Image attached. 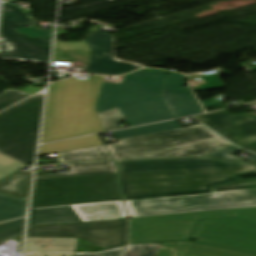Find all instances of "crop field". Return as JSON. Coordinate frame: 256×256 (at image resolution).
Returning a JSON list of instances; mask_svg holds the SVG:
<instances>
[{
  "mask_svg": "<svg viewBox=\"0 0 256 256\" xmlns=\"http://www.w3.org/2000/svg\"><path fill=\"white\" fill-rule=\"evenodd\" d=\"M116 162L123 200L207 192L256 173V163L208 157Z\"/></svg>",
  "mask_w": 256,
  "mask_h": 256,
  "instance_id": "crop-field-1",
  "label": "crop field"
},
{
  "mask_svg": "<svg viewBox=\"0 0 256 256\" xmlns=\"http://www.w3.org/2000/svg\"><path fill=\"white\" fill-rule=\"evenodd\" d=\"M183 74L143 69L121 84L104 82L98 113L118 107L129 127L204 113L190 88L182 90Z\"/></svg>",
  "mask_w": 256,
  "mask_h": 256,
  "instance_id": "crop-field-2",
  "label": "crop field"
},
{
  "mask_svg": "<svg viewBox=\"0 0 256 256\" xmlns=\"http://www.w3.org/2000/svg\"><path fill=\"white\" fill-rule=\"evenodd\" d=\"M207 221L196 222L198 219ZM256 255V223L232 218L228 210L130 219L129 244L185 241Z\"/></svg>",
  "mask_w": 256,
  "mask_h": 256,
  "instance_id": "crop-field-3",
  "label": "crop field"
},
{
  "mask_svg": "<svg viewBox=\"0 0 256 256\" xmlns=\"http://www.w3.org/2000/svg\"><path fill=\"white\" fill-rule=\"evenodd\" d=\"M103 79L92 75L50 84L41 143L105 131L96 109Z\"/></svg>",
  "mask_w": 256,
  "mask_h": 256,
  "instance_id": "crop-field-4",
  "label": "crop field"
},
{
  "mask_svg": "<svg viewBox=\"0 0 256 256\" xmlns=\"http://www.w3.org/2000/svg\"><path fill=\"white\" fill-rule=\"evenodd\" d=\"M219 194V196H215ZM131 218L256 207V189L124 202ZM82 222L128 217L121 201L71 206Z\"/></svg>",
  "mask_w": 256,
  "mask_h": 256,
  "instance_id": "crop-field-5",
  "label": "crop field"
},
{
  "mask_svg": "<svg viewBox=\"0 0 256 256\" xmlns=\"http://www.w3.org/2000/svg\"><path fill=\"white\" fill-rule=\"evenodd\" d=\"M230 146L201 125L106 145L114 160L204 156Z\"/></svg>",
  "mask_w": 256,
  "mask_h": 256,
  "instance_id": "crop-field-6",
  "label": "crop field"
},
{
  "mask_svg": "<svg viewBox=\"0 0 256 256\" xmlns=\"http://www.w3.org/2000/svg\"><path fill=\"white\" fill-rule=\"evenodd\" d=\"M122 200L117 175L35 180L31 208Z\"/></svg>",
  "mask_w": 256,
  "mask_h": 256,
  "instance_id": "crop-field-7",
  "label": "crop field"
},
{
  "mask_svg": "<svg viewBox=\"0 0 256 256\" xmlns=\"http://www.w3.org/2000/svg\"><path fill=\"white\" fill-rule=\"evenodd\" d=\"M43 99L36 95L0 114L1 153L25 165L34 162Z\"/></svg>",
  "mask_w": 256,
  "mask_h": 256,
  "instance_id": "crop-field-8",
  "label": "crop field"
},
{
  "mask_svg": "<svg viewBox=\"0 0 256 256\" xmlns=\"http://www.w3.org/2000/svg\"><path fill=\"white\" fill-rule=\"evenodd\" d=\"M53 61L72 63L73 66L89 68L90 72L108 75L138 69L113 60V36L97 32V25L92 26L86 40L66 43V50L55 51Z\"/></svg>",
  "mask_w": 256,
  "mask_h": 256,
  "instance_id": "crop-field-9",
  "label": "crop field"
},
{
  "mask_svg": "<svg viewBox=\"0 0 256 256\" xmlns=\"http://www.w3.org/2000/svg\"><path fill=\"white\" fill-rule=\"evenodd\" d=\"M128 219L28 226L27 237L80 238L108 249L126 245Z\"/></svg>",
  "mask_w": 256,
  "mask_h": 256,
  "instance_id": "crop-field-10",
  "label": "crop field"
},
{
  "mask_svg": "<svg viewBox=\"0 0 256 256\" xmlns=\"http://www.w3.org/2000/svg\"><path fill=\"white\" fill-rule=\"evenodd\" d=\"M211 130L236 146L242 147L256 142V119L222 111L195 117Z\"/></svg>",
  "mask_w": 256,
  "mask_h": 256,
  "instance_id": "crop-field-11",
  "label": "crop field"
},
{
  "mask_svg": "<svg viewBox=\"0 0 256 256\" xmlns=\"http://www.w3.org/2000/svg\"><path fill=\"white\" fill-rule=\"evenodd\" d=\"M1 38L9 41V46L14 49L6 52L3 57L34 61L49 62L50 43L52 38H29L25 34L18 33L8 23H2Z\"/></svg>",
  "mask_w": 256,
  "mask_h": 256,
  "instance_id": "crop-field-12",
  "label": "crop field"
},
{
  "mask_svg": "<svg viewBox=\"0 0 256 256\" xmlns=\"http://www.w3.org/2000/svg\"><path fill=\"white\" fill-rule=\"evenodd\" d=\"M184 242L163 243L157 256H177ZM180 256H254L222 248L186 242Z\"/></svg>",
  "mask_w": 256,
  "mask_h": 256,
  "instance_id": "crop-field-13",
  "label": "crop field"
},
{
  "mask_svg": "<svg viewBox=\"0 0 256 256\" xmlns=\"http://www.w3.org/2000/svg\"><path fill=\"white\" fill-rule=\"evenodd\" d=\"M81 222L70 206L40 209L30 212L28 225Z\"/></svg>",
  "mask_w": 256,
  "mask_h": 256,
  "instance_id": "crop-field-14",
  "label": "crop field"
},
{
  "mask_svg": "<svg viewBox=\"0 0 256 256\" xmlns=\"http://www.w3.org/2000/svg\"><path fill=\"white\" fill-rule=\"evenodd\" d=\"M69 166H70L71 173L36 175L35 179L117 174V168L114 162L80 163V164H69Z\"/></svg>",
  "mask_w": 256,
  "mask_h": 256,
  "instance_id": "crop-field-15",
  "label": "crop field"
},
{
  "mask_svg": "<svg viewBox=\"0 0 256 256\" xmlns=\"http://www.w3.org/2000/svg\"><path fill=\"white\" fill-rule=\"evenodd\" d=\"M31 177V172L19 171L13 174L0 182V193L27 200Z\"/></svg>",
  "mask_w": 256,
  "mask_h": 256,
  "instance_id": "crop-field-16",
  "label": "crop field"
},
{
  "mask_svg": "<svg viewBox=\"0 0 256 256\" xmlns=\"http://www.w3.org/2000/svg\"><path fill=\"white\" fill-rule=\"evenodd\" d=\"M99 145H103V142L100 139L99 135L79 138L74 140H68L63 142L51 143V144L40 146L39 156L71 151L76 149H82L87 147L99 146Z\"/></svg>",
  "mask_w": 256,
  "mask_h": 256,
  "instance_id": "crop-field-17",
  "label": "crop field"
},
{
  "mask_svg": "<svg viewBox=\"0 0 256 256\" xmlns=\"http://www.w3.org/2000/svg\"><path fill=\"white\" fill-rule=\"evenodd\" d=\"M58 163L113 160L105 145L71 152L59 153Z\"/></svg>",
  "mask_w": 256,
  "mask_h": 256,
  "instance_id": "crop-field-18",
  "label": "crop field"
},
{
  "mask_svg": "<svg viewBox=\"0 0 256 256\" xmlns=\"http://www.w3.org/2000/svg\"><path fill=\"white\" fill-rule=\"evenodd\" d=\"M27 201L0 194V222L25 216Z\"/></svg>",
  "mask_w": 256,
  "mask_h": 256,
  "instance_id": "crop-field-19",
  "label": "crop field"
},
{
  "mask_svg": "<svg viewBox=\"0 0 256 256\" xmlns=\"http://www.w3.org/2000/svg\"><path fill=\"white\" fill-rule=\"evenodd\" d=\"M176 120L113 132L117 139L180 128Z\"/></svg>",
  "mask_w": 256,
  "mask_h": 256,
  "instance_id": "crop-field-20",
  "label": "crop field"
},
{
  "mask_svg": "<svg viewBox=\"0 0 256 256\" xmlns=\"http://www.w3.org/2000/svg\"><path fill=\"white\" fill-rule=\"evenodd\" d=\"M29 15L16 4H5L3 20L8 22L13 28H21L36 25L34 19L29 20Z\"/></svg>",
  "mask_w": 256,
  "mask_h": 256,
  "instance_id": "crop-field-21",
  "label": "crop field"
},
{
  "mask_svg": "<svg viewBox=\"0 0 256 256\" xmlns=\"http://www.w3.org/2000/svg\"><path fill=\"white\" fill-rule=\"evenodd\" d=\"M162 243L135 245L124 249H118L116 251L95 254V255H78L75 256H156ZM147 250L144 255H140L141 250Z\"/></svg>",
  "mask_w": 256,
  "mask_h": 256,
  "instance_id": "crop-field-22",
  "label": "crop field"
},
{
  "mask_svg": "<svg viewBox=\"0 0 256 256\" xmlns=\"http://www.w3.org/2000/svg\"><path fill=\"white\" fill-rule=\"evenodd\" d=\"M24 219L0 224V243L7 241L23 233Z\"/></svg>",
  "mask_w": 256,
  "mask_h": 256,
  "instance_id": "crop-field-23",
  "label": "crop field"
},
{
  "mask_svg": "<svg viewBox=\"0 0 256 256\" xmlns=\"http://www.w3.org/2000/svg\"><path fill=\"white\" fill-rule=\"evenodd\" d=\"M98 115L106 131L120 129L121 126L118 125V122L124 120L118 108L103 113H99Z\"/></svg>",
  "mask_w": 256,
  "mask_h": 256,
  "instance_id": "crop-field-24",
  "label": "crop field"
},
{
  "mask_svg": "<svg viewBox=\"0 0 256 256\" xmlns=\"http://www.w3.org/2000/svg\"><path fill=\"white\" fill-rule=\"evenodd\" d=\"M25 165L0 154V180L19 171Z\"/></svg>",
  "mask_w": 256,
  "mask_h": 256,
  "instance_id": "crop-field-25",
  "label": "crop field"
},
{
  "mask_svg": "<svg viewBox=\"0 0 256 256\" xmlns=\"http://www.w3.org/2000/svg\"><path fill=\"white\" fill-rule=\"evenodd\" d=\"M31 94L22 91L6 90L0 94V110L30 96Z\"/></svg>",
  "mask_w": 256,
  "mask_h": 256,
  "instance_id": "crop-field-26",
  "label": "crop field"
},
{
  "mask_svg": "<svg viewBox=\"0 0 256 256\" xmlns=\"http://www.w3.org/2000/svg\"><path fill=\"white\" fill-rule=\"evenodd\" d=\"M256 188V179L240 181L232 184L216 187L211 192L215 191H227V190H240V189H252Z\"/></svg>",
  "mask_w": 256,
  "mask_h": 256,
  "instance_id": "crop-field-27",
  "label": "crop field"
},
{
  "mask_svg": "<svg viewBox=\"0 0 256 256\" xmlns=\"http://www.w3.org/2000/svg\"><path fill=\"white\" fill-rule=\"evenodd\" d=\"M230 212L232 216L235 218L256 222V208L235 209V210H230Z\"/></svg>",
  "mask_w": 256,
  "mask_h": 256,
  "instance_id": "crop-field-28",
  "label": "crop field"
},
{
  "mask_svg": "<svg viewBox=\"0 0 256 256\" xmlns=\"http://www.w3.org/2000/svg\"><path fill=\"white\" fill-rule=\"evenodd\" d=\"M29 37H52L53 31L38 30V28H22L17 30Z\"/></svg>",
  "mask_w": 256,
  "mask_h": 256,
  "instance_id": "crop-field-29",
  "label": "crop field"
},
{
  "mask_svg": "<svg viewBox=\"0 0 256 256\" xmlns=\"http://www.w3.org/2000/svg\"><path fill=\"white\" fill-rule=\"evenodd\" d=\"M242 149H239L235 146L233 147H230V148H227V149H224V150H221L219 152H216V153H213V154H210V155H207L209 157H217V158H226V159H234V160H238L237 157H231V156H228L232 153H235L237 151H240Z\"/></svg>",
  "mask_w": 256,
  "mask_h": 256,
  "instance_id": "crop-field-30",
  "label": "crop field"
},
{
  "mask_svg": "<svg viewBox=\"0 0 256 256\" xmlns=\"http://www.w3.org/2000/svg\"><path fill=\"white\" fill-rule=\"evenodd\" d=\"M8 42H6L5 40L1 39V44H0V58H2V55H4L6 51L12 49L10 47L7 46ZM2 59H6V58H2Z\"/></svg>",
  "mask_w": 256,
  "mask_h": 256,
  "instance_id": "crop-field-31",
  "label": "crop field"
},
{
  "mask_svg": "<svg viewBox=\"0 0 256 256\" xmlns=\"http://www.w3.org/2000/svg\"><path fill=\"white\" fill-rule=\"evenodd\" d=\"M201 104L203 105L204 108H207V107H211V106L220 105V104H222V102H221V101H217V100L210 99V100L201 102Z\"/></svg>",
  "mask_w": 256,
  "mask_h": 256,
  "instance_id": "crop-field-32",
  "label": "crop field"
},
{
  "mask_svg": "<svg viewBox=\"0 0 256 256\" xmlns=\"http://www.w3.org/2000/svg\"><path fill=\"white\" fill-rule=\"evenodd\" d=\"M58 36L59 35H56L55 50L65 49V43H63L62 41L58 40Z\"/></svg>",
  "mask_w": 256,
  "mask_h": 256,
  "instance_id": "crop-field-33",
  "label": "crop field"
},
{
  "mask_svg": "<svg viewBox=\"0 0 256 256\" xmlns=\"http://www.w3.org/2000/svg\"><path fill=\"white\" fill-rule=\"evenodd\" d=\"M243 148H246V149L256 153V143L252 144V145H249V146H246V147H243Z\"/></svg>",
  "mask_w": 256,
  "mask_h": 256,
  "instance_id": "crop-field-34",
  "label": "crop field"
},
{
  "mask_svg": "<svg viewBox=\"0 0 256 256\" xmlns=\"http://www.w3.org/2000/svg\"><path fill=\"white\" fill-rule=\"evenodd\" d=\"M247 161H253L256 162V155L252 154L249 158L246 159Z\"/></svg>",
  "mask_w": 256,
  "mask_h": 256,
  "instance_id": "crop-field-35",
  "label": "crop field"
},
{
  "mask_svg": "<svg viewBox=\"0 0 256 256\" xmlns=\"http://www.w3.org/2000/svg\"><path fill=\"white\" fill-rule=\"evenodd\" d=\"M114 60H116V59H114ZM116 61L122 62V63L131 64V65H134V66H138V67L144 68V67H142V66H139V65H136V64H132V63H129V62H126V61H122V60H116Z\"/></svg>",
  "mask_w": 256,
  "mask_h": 256,
  "instance_id": "crop-field-36",
  "label": "crop field"
}]
</instances>
